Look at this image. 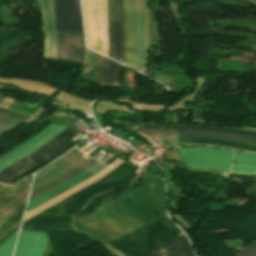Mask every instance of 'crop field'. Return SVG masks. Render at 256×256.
<instances>
[{"label":"crop field","instance_id":"obj_22","mask_svg":"<svg viewBox=\"0 0 256 256\" xmlns=\"http://www.w3.org/2000/svg\"><path fill=\"white\" fill-rule=\"evenodd\" d=\"M24 205L25 204L0 223V236L21 220Z\"/></svg>","mask_w":256,"mask_h":256},{"label":"crop field","instance_id":"obj_28","mask_svg":"<svg viewBox=\"0 0 256 256\" xmlns=\"http://www.w3.org/2000/svg\"><path fill=\"white\" fill-rule=\"evenodd\" d=\"M5 110H3V109H0V114L2 113V112H4Z\"/></svg>","mask_w":256,"mask_h":256},{"label":"crop field","instance_id":"obj_1","mask_svg":"<svg viewBox=\"0 0 256 256\" xmlns=\"http://www.w3.org/2000/svg\"><path fill=\"white\" fill-rule=\"evenodd\" d=\"M135 130L143 132L149 136L154 134L159 140L197 138L231 141L256 145V132L238 131L226 128L187 125H146L140 128H136ZM197 139H178L166 140L161 142L167 145H205L212 147L238 149L242 151L256 153V146L254 145Z\"/></svg>","mask_w":256,"mask_h":256},{"label":"crop field","instance_id":"obj_26","mask_svg":"<svg viewBox=\"0 0 256 256\" xmlns=\"http://www.w3.org/2000/svg\"><path fill=\"white\" fill-rule=\"evenodd\" d=\"M19 223L16 224L13 228H11L8 232H6L3 236L0 237V244L3 243L6 239H8L11 235L18 231Z\"/></svg>","mask_w":256,"mask_h":256},{"label":"crop field","instance_id":"obj_25","mask_svg":"<svg viewBox=\"0 0 256 256\" xmlns=\"http://www.w3.org/2000/svg\"><path fill=\"white\" fill-rule=\"evenodd\" d=\"M38 108H39L38 106H34V105L28 103V104H27L22 110H20L19 112L34 115V113L38 110Z\"/></svg>","mask_w":256,"mask_h":256},{"label":"crop field","instance_id":"obj_27","mask_svg":"<svg viewBox=\"0 0 256 256\" xmlns=\"http://www.w3.org/2000/svg\"><path fill=\"white\" fill-rule=\"evenodd\" d=\"M117 158H115V157H111L109 160H107L106 162H104V163H106V164H110V163H112L114 160H116Z\"/></svg>","mask_w":256,"mask_h":256},{"label":"crop field","instance_id":"obj_16","mask_svg":"<svg viewBox=\"0 0 256 256\" xmlns=\"http://www.w3.org/2000/svg\"><path fill=\"white\" fill-rule=\"evenodd\" d=\"M45 41H56L52 0H41Z\"/></svg>","mask_w":256,"mask_h":256},{"label":"crop field","instance_id":"obj_14","mask_svg":"<svg viewBox=\"0 0 256 256\" xmlns=\"http://www.w3.org/2000/svg\"><path fill=\"white\" fill-rule=\"evenodd\" d=\"M138 256H193L185 236L181 235L167 243Z\"/></svg>","mask_w":256,"mask_h":256},{"label":"crop field","instance_id":"obj_24","mask_svg":"<svg viewBox=\"0 0 256 256\" xmlns=\"http://www.w3.org/2000/svg\"><path fill=\"white\" fill-rule=\"evenodd\" d=\"M237 256H256V240L247 246L241 253Z\"/></svg>","mask_w":256,"mask_h":256},{"label":"crop field","instance_id":"obj_2","mask_svg":"<svg viewBox=\"0 0 256 256\" xmlns=\"http://www.w3.org/2000/svg\"><path fill=\"white\" fill-rule=\"evenodd\" d=\"M57 59L84 62L85 45L79 0H53Z\"/></svg>","mask_w":256,"mask_h":256},{"label":"crop field","instance_id":"obj_23","mask_svg":"<svg viewBox=\"0 0 256 256\" xmlns=\"http://www.w3.org/2000/svg\"><path fill=\"white\" fill-rule=\"evenodd\" d=\"M16 236H17V233H15L12 237H10L2 245H0V256L11 255Z\"/></svg>","mask_w":256,"mask_h":256},{"label":"crop field","instance_id":"obj_9","mask_svg":"<svg viewBox=\"0 0 256 256\" xmlns=\"http://www.w3.org/2000/svg\"><path fill=\"white\" fill-rule=\"evenodd\" d=\"M109 56L123 63L122 0H108Z\"/></svg>","mask_w":256,"mask_h":256},{"label":"crop field","instance_id":"obj_6","mask_svg":"<svg viewBox=\"0 0 256 256\" xmlns=\"http://www.w3.org/2000/svg\"><path fill=\"white\" fill-rule=\"evenodd\" d=\"M75 134H77V132L67 128L38 150L2 170L0 172V182L10 185L17 179L24 176L26 173L35 170L37 167L72 145L73 142H71L69 139Z\"/></svg>","mask_w":256,"mask_h":256},{"label":"crop field","instance_id":"obj_4","mask_svg":"<svg viewBox=\"0 0 256 256\" xmlns=\"http://www.w3.org/2000/svg\"><path fill=\"white\" fill-rule=\"evenodd\" d=\"M136 169L137 167L124 162L100 181L60 201L43 212L73 215L80 211L93 196L130 184Z\"/></svg>","mask_w":256,"mask_h":256},{"label":"crop field","instance_id":"obj_11","mask_svg":"<svg viewBox=\"0 0 256 256\" xmlns=\"http://www.w3.org/2000/svg\"><path fill=\"white\" fill-rule=\"evenodd\" d=\"M124 63L136 69L134 0H123Z\"/></svg>","mask_w":256,"mask_h":256},{"label":"crop field","instance_id":"obj_21","mask_svg":"<svg viewBox=\"0 0 256 256\" xmlns=\"http://www.w3.org/2000/svg\"><path fill=\"white\" fill-rule=\"evenodd\" d=\"M30 186L0 209V222L26 202Z\"/></svg>","mask_w":256,"mask_h":256},{"label":"crop field","instance_id":"obj_8","mask_svg":"<svg viewBox=\"0 0 256 256\" xmlns=\"http://www.w3.org/2000/svg\"><path fill=\"white\" fill-rule=\"evenodd\" d=\"M182 162L191 167H205L229 171L233 151L206 147L176 149Z\"/></svg>","mask_w":256,"mask_h":256},{"label":"crop field","instance_id":"obj_19","mask_svg":"<svg viewBox=\"0 0 256 256\" xmlns=\"http://www.w3.org/2000/svg\"><path fill=\"white\" fill-rule=\"evenodd\" d=\"M28 115H22L10 110L6 111L5 113L0 115V135L4 134L5 132L9 131L10 129L16 127L21 122L26 120Z\"/></svg>","mask_w":256,"mask_h":256},{"label":"crop field","instance_id":"obj_10","mask_svg":"<svg viewBox=\"0 0 256 256\" xmlns=\"http://www.w3.org/2000/svg\"><path fill=\"white\" fill-rule=\"evenodd\" d=\"M66 126H58L51 124L41 133L19 146L12 152L6 154L5 156L0 158V171L9 165L15 163L16 161L22 159L26 155L30 154L34 150L38 149L50 139L61 133Z\"/></svg>","mask_w":256,"mask_h":256},{"label":"crop field","instance_id":"obj_15","mask_svg":"<svg viewBox=\"0 0 256 256\" xmlns=\"http://www.w3.org/2000/svg\"><path fill=\"white\" fill-rule=\"evenodd\" d=\"M120 64L100 55L98 83L119 85Z\"/></svg>","mask_w":256,"mask_h":256},{"label":"crop field","instance_id":"obj_12","mask_svg":"<svg viewBox=\"0 0 256 256\" xmlns=\"http://www.w3.org/2000/svg\"><path fill=\"white\" fill-rule=\"evenodd\" d=\"M105 167L106 166L97 162L85 171H87L88 173H90L91 175L94 176L95 174L100 172ZM85 171L76 175L75 177L67 180L66 182L58 185L57 187L47 191L46 193L38 196L37 198L29 201L27 212L33 210L34 208L42 205L43 203L51 200L52 198L60 195L61 193L71 189L72 187H74V186L80 184L81 182H83V181L89 179L90 177H92L90 174H88Z\"/></svg>","mask_w":256,"mask_h":256},{"label":"crop field","instance_id":"obj_17","mask_svg":"<svg viewBox=\"0 0 256 256\" xmlns=\"http://www.w3.org/2000/svg\"><path fill=\"white\" fill-rule=\"evenodd\" d=\"M231 171L252 174L256 170V155L235 151Z\"/></svg>","mask_w":256,"mask_h":256},{"label":"crop field","instance_id":"obj_13","mask_svg":"<svg viewBox=\"0 0 256 256\" xmlns=\"http://www.w3.org/2000/svg\"><path fill=\"white\" fill-rule=\"evenodd\" d=\"M137 69L145 70L147 54L146 0H135Z\"/></svg>","mask_w":256,"mask_h":256},{"label":"crop field","instance_id":"obj_5","mask_svg":"<svg viewBox=\"0 0 256 256\" xmlns=\"http://www.w3.org/2000/svg\"><path fill=\"white\" fill-rule=\"evenodd\" d=\"M72 217L39 214L23 222L21 231H74ZM47 234L21 232L14 256H41L48 242Z\"/></svg>","mask_w":256,"mask_h":256},{"label":"crop field","instance_id":"obj_7","mask_svg":"<svg viewBox=\"0 0 256 256\" xmlns=\"http://www.w3.org/2000/svg\"><path fill=\"white\" fill-rule=\"evenodd\" d=\"M87 45L108 56L107 0H82Z\"/></svg>","mask_w":256,"mask_h":256},{"label":"crop field","instance_id":"obj_3","mask_svg":"<svg viewBox=\"0 0 256 256\" xmlns=\"http://www.w3.org/2000/svg\"><path fill=\"white\" fill-rule=\"evenodd\" d=\"M181 234L165 215L107 244L121 256H136Z\"/></svg>","mask_w":256,"mask_h":256},{"label":"crop field","instance_id":"obj_20","mask_svg":"<svg viewBox=\"0 0 256 256\" xmlns=\"http://www.w3.org/2000/svg\"><path fill=\"white\" fill-rule=\"evenodd\" d=\"M95 162H96V161H94V160H92V159L88 160L86 163H84V164H83L82 166H80L78 169H76V170H74V171H72V172L66 174L65 176H63V177H61V178L55 180L54 182H52V183H50V184H48V185L42 187L41 189H39V190H37V191L31 193L29 200H31V199L37 197L38 195H40V194L46 192L47 190H49V189L55 187L56 185H58V184H60V183H62V182H64V181H66L67 179H69V178L75 176L76 174H78V173L84 171L85 169H87L88 167H90V166H91L92 164H94Z\"/></svg>","mask_w":256,"mask_h":256},{"label":"crop field","instance_id":"obj_18","mask_svg":"<svg viewBox=\"0 0 256 256\" xmlns=\"http://www.w3.org/2000/svg\"><path fill=\"white\" fill-rule=\"evenodd\" d=\"M32 177L29 176L10 187L1 186L0 187V207L7 203L10 199L16 196L24 188L31 184Z\"/></svg>","mask_w":256,"mask_h":256}]
</instances>
